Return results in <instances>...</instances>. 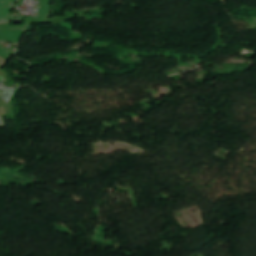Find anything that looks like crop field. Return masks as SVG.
<instances>
[{"instance_id":"8a807250","label":"crop field","mask_w":256,"mask_h":256,"mask_svg":"<svg viewBox=\"0 0 256 256\" xmlns=\"http://www.w3.org/2000/svg\"><path fill=\"white\" fill-rule=\"evenodd\" d=\"M0 126H5V125H4V121H3V118H2V117H0Z\"/></svg>"},{"instance_id":"ac0d7876","label":"crop field","mask_w":256,"mask_h":256,"mask_svg":"<svg viewBox=\"0 0 256 256\" xmlns=\"http://www.w3.org/2000/svg\"><path fill=\"white\" fill-rule=\"evenodd\" d=\"M0 80L3 81V80H4V77H1V76H0Z\"/></svg>"}]
</instances>
